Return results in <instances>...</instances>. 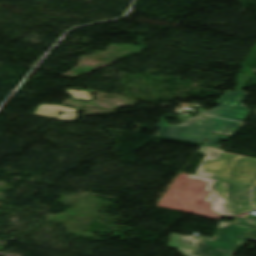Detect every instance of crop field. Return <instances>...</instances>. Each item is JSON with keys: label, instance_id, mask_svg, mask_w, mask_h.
Here are the masks:
<instances>
[{"label": "crop field", "instance_id": "1", "mask_svg": "<svg viewBox=\"0 0 256 256\" xmlns=\"http://www.w3.org/2000/svg\"><path fill=\"white\" fill-rule=\"evenodd\" d=\"M247 240L256 241V226L220 222L214 239L172 234L168 246L185 256H234Z\"/></svg>", "mask_w": 256, "mask_h": 256}, {"label": "crop field", "instance_id": "2", "mask_svg": "<svg viewBox=\"0 0 256 256\" xmlns=\"http://www.w3.org/2000/svg\"><path fill=\"white\" fill-rule=\"evenodd\" d=\"M206 155L196 175L252 186L256 181V160L223 153L219 148L200 146Z\"/></svg>", "mask_w": 256, "mask_h": 256}, {"label": "crop field", "instance_id": "3", "mask_svg": "<svg viewBox=\"0 0 256 256\" xmlns=\"http://www.w3.org/2000/svg\"><path fill=\"white\" fill-rule=\"evenodd\" d=\"M170 117L176 116L166 115V117L157 124L161 130L156 133L155 136L202 144L213 132L232 135L242 125V123L214 118L203 114L188 119L182 117L186 121L185 123L169 125L165 120Z\"/></svg>", "mask_w": 256, "mask_h": 256}, {"label": "crop field", "instance_id": "4", "mask_svg": "<svg viewBox=\"0 0 256 256\" xmlns=\"http://www.w3.org/2000/svg\"><path fill=\"white\" fill-rule=\"evenodd\" d=\"M188 177L208 182L205 190L211 192L206 200L212 202V207L216 214L236 215L255 210L249 201V186L196 175H189ZM214 200H218V202H214Z\"/></svg>", "mask_w": 256, "mask_h": 256}, {"label": "crop field", "instance_id": "5", "mask_svg": "<svg viewBox=\"0 0 256 256\" xmlns=\"http://www.w3.org/2000/svg\"><path fill=\"white\" fill-rule=\"evenodd\" d=\"M247 96V92L227 91L218 101H216L219 104V107L214 108L211 111H205L203 109L200 111L222 118L245 122L248 119V113L250 112L243 105Z\"/></svg>", "mask_w": 256, "mask_h": 256}, {"label": "crop field", "instance_id": "6", "mask_svg": "<svg viewBox=\"0 0 256 256\" xmlns=\"http://www.w3.org/2000/svg\"><path fill=\"white\" fill-rule=\"evenodd\" d=\"M63 110H65V112L77 111L76 109L63 107V106H60V105H46V104H43V105H41L37 108V110L33 113V115L51 118V117L57 115V113L59 111L63 112Z\"/></svg>", "mask_w": 256, "mask_h": 256}, {"label": "crop field", "instance_id": "7", "mask_svg": "<svg viewBox=\"0 0 256 256\" xmlns=\"http://www.w3.org/2000/svg\"><path fill=\"white\" fill-rule=\"evenodd\" d=\"M230 137L222 136V135H215L213 134L209 139H207L203 145L207 146H213V147H219L222 148L223 145L217 144L219 141L224 140L227 141Z\"/></svg>", "mask_w": 256, "mask_h": 256}, {"label": "crop field", "instance_id": "8", "mask_svg": "<svg viewBox=\"0 0 256 256\" xmlns=\"http://www.w3.org/2000/svg\"><path fill=\"white\" fill-rule=\"evenodd\" d=\"M66 92H68L75 99L82 98L87 101H91L93 99V95L87 91L66 90Z\"/></svg>", "mask_w": 256, "mask_h": 256}, {"label": "crop field", "instance_id": "9", "mask_svg": "<svg viewBox=\"0 0 256 256\" xmlns=\"http://www.w3.org/2000/svg\"><path fill=\"white\" fill-rule=\"evenodd\" d=\"M235 221L256 225V216H252L249 213H247V214L237 216Z\"/></svg>", "mask_w": 256, "mask_h": 256}, {"label": "crop field", "instance_id": "10", "mask_svg": "<svg viewBox=\"0 0 256 256\" xmlns=\"http://www.w3.org/2000/svg\"><path fill=\"white\" fill-rule=\"evenodd\" d=\"M76 117H77L76 113H65L55 117V119L72 122Z\"/></svg>", "mask_w": 256, "mask_h": 256}, {"label": "crop field", "instance_id": "11", "mask_svg": "<svg viewBox=\"0 0 256 256\" xmlns=\"http://www.w3.org/2000/svg\"><path fill=\"white\" fill-rule=\"evenodd\" d=\"M252 196H253V202H254V204H255V206H256V187H254ZM254 204H253V205H254Z\"/></svg>", "mask_w": 256, "mask_h": 256}]
</instances>
